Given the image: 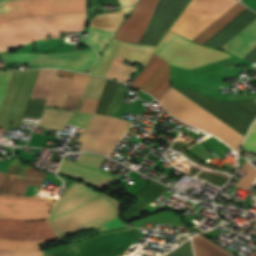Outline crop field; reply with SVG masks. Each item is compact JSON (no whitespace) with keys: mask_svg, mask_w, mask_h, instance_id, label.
Here are the masks:
<instances>
[{"mask_svg":"<svg viewBox=\"0 0 256 256\" xmlns=\"http://www.w3.org/2000/svg\"><path fill=\"white\" fill-rule=\"evenodd\" d=\"M169 69L170 64L153 53L147 66L129 85L145 90L160 100L171 87L169 84ZM175 89L244 136L256 117V102L254 100L224 102L203 96L194 90ZM175 89L171 87L159 101L168 112L195 127L221 138L236 151L244 136Z\"/></svg>","mask_w":256,"mask_h":256,"instance_id":"obj_1","label":"crop field"},{"mask_svg":"<svg viewBox=\"0 0 256 256\" xmlns=\"http://www.w3.org/2000/svg\"><path fill=\"white\" fill-rule=\"evenodd\" d=\"M3 175L0 173V182ZM44 175V172L36 171L33 167L29 168L25 178L5 174L0 195L22 196L27 185L39 186ZM9 196H0V250L40 251L38 245L59 240L48 220L26 223L47 219L54 199ZM7 251H0V254L15 253Z\"/></svg>","mask_w":256,"mask_h":256,"instance_id":"obj_2","label":"crop field"},{"mask_svg":"<svg viewBox=\"0 0 256 256\" xmlns=\"http://www.w3.org/2000/svg\"><path fill=\"white\" fill-rule=\"evenodd\" d=\"M86 0H17L7 2L12 12L0 14V25L33 17L65 16L85 13ZM85 14L65 17L33 18L0 26V52L26 45L43 37H59L60 31H82Z\"/></svg>","mask_w":256,"mask_h":256,"instance_id":"obj_3","label":"crop field"},{"mask_svg":"<svg viewBox=\"0 0 256 256\" xmlns=\"http://www.w3.org/2000/svg\"><path fill=\"white\" fill-rule=\"evenodd\" d=\"M155 47L135 45L123 42L116 57L127 58L146 65ZM172 65L191 69L197 66L231 57L215 49L200 46L168 31L155 52ZM160 57V58H161ZM115 58L106 76L124 82L135 70V67L122 65L123 59Z\"/></svg>","mask_w":256,"mask_h":256,"instance_id":"obj_4","label":"crop field"},{"mask_svg":"<svg viewBox=\"0 0 256 256\" xmlns=\"http://www.w3.org/2000/svg\"><path fill=\"white\" fill-rule=\"evenodd\" d=\"M99 194L80 185L77 183H73L65 193L59 197L57 200L51 214L50 218L59 217L61 215L71 213L89 201L97 197ZM119 207V203L114 199L101 194L90 203L82 207L81 209L71 213L64 215L59 218L49 220L51 225L53 226L56 233L63 231L67 228L80 224L84 221L92 219L96 216L109 212L113 209ZM120 208L113 210L109 213L96 217L92 220L84 222L80 225L67 229L63 232L58 233L59 237H66L75 232L97 229L107 222L111 221L115 217L119 216Z\"/></svg>","mask_w":256,"mask_h":256,"instance_id":"obj_5","label":"crop field"},{"mask_svg":"<svg viewBox=\"0 0 256 256\" xmlns=\"http://www.w3.org/2000/svg\"><path fill=\"white\" fill-rule=\"evenodd\" d=\"M158 0H138L131 16L119 27L114 38L138 43ZM190 0H159L149 25L138 44L157 46Z\"/></svg>","mask_w":256,"mask_h":256,"instance_id":"obj_6","label":"crop field"},{"mask_svg":"<svg viewBox=\"0 0 256 256\" xmlns=\"http://www.w3.org/2000/svg\"><path fill=\"white\" fill-rule=\"evenodd\" d=\"M237 0H192L171 31L193 40Z\"/></svg>","mask_w":256,"mask_h":256,"instance_id":"obj_7","label":"crop field"},{"mask_svg":"<svg viewBox=\"0 0 256 256\" xmlns=\"http://www.w3.org/2000/svg\"><path fill=\"white\" fill-rule=\"evenodd\" d=\"M132 122L94 114L77 141L82 142L79 150H89L108 155L125 134Z\"/></svg>","mask_w":256,"mask_h":256,"instance_id":"obj_8","label":"crop field"},{"mask_svg":"<svg viewBox=\"0 0 256 256\" xmlns=\"http://www.w3.org/2000/svg\"><path fill=\"white\" fill-rule=\"evenodd\" d=\"M139 230L124 227L106 231L84 245L69 247L49 256H117L141 238Z\"/></svg>","mask_w":256,"mask_h":256,"instance_id":"obj_9","label":"crop field"},{"mask_svg":"<svg viewBox=\"0 0 256 256\" xmlns=\"http://www.w3.org/2000/svg\"><path fill=\"white\" fill-rule=\"evenodd\" d=\"M242 5L238 2L229 11L222 15L216 22H214L209 28H207L198 37H196L194 41L201 44L206 42L210 37H212L221 28H223L232 19H234L237 15H239L243 10L246 9V7ZM255 19L256 14L252 13L247 8L203 45L221 48L225 43H227L230 39H232Z\"/></svg>","mask_w":256,"mask_h":256,"instance_id":"obj_10","label":"crop field"},{"mask_svg":"<svg viewBox=\"0 0 256 256\" xmlns=\"http://www.w3.org/2000/svg\"><path fill=\"white\" fill-rule=\"evenodd\" d=\"M5 63H28L41 67L66 68L86 72L96 60L92 50L40 55V54H9L2 56Z\"/></svg>","mask_w":256,"mask_h":256,"instance_id":"obj_11","label":"crop field"},{"mask_svg":"<svg viewBox=\"0 0 256 256\" xmlns=\"http://www.w3.org/2000/svg\"><path fill=\"white\" fill-rule=\"evenodd\" d=\"M102 159L96 154L81 153L76 163L63 160L57 173L85 181L102 192L118 180L115 175L98 169Z\"/></svg>","mask_w":256,"mask_h":256,"instance_id":"obj_12","label":"crop field"},{"mask_svg":"<svg viewBox=\"0 0 256 256\" xmlns=\"http://www.w3.org/2000/svg\"><path fill=\"white\" fill-rule=\"evenodd\" d=\"M57 70H40L30 96L47 98ZM71 79L55 77L45 105L63 106Z\"/></svg>","mask_w":256,"mask_h":256,"instance_id":"obj_13","label":"crop field"},{"mask_svg":"<svg viewBox=\"0 0 256 256\" xmlns=\"http://www.w3.org/2000/svg\"><path fill=\"white\" fill-rule=\"evenodd\" d=\"M104 78L75 73L67 95L91 100H99Z\"/></svg>","mask_w":256,"mask_h":256,"instance_id":"obj_14","label":"crop field"},{"mask_svg":"<svg viewBox=\"0 0 256 256\" xmlns=\"http://www.w3.org/2000/svg\"><path fill=\"white\" fill-rule=\"evenodd\" d=\"M256 46V20L234 37L223 48L228 52L243 57Z\"/></svg>","mask_w":256,"mask_h":256,"instance_id":"obj_15","label":"crop field"},{"mask_svg":"<svg viewBox=\"0 0 256 256\" xmlns=\"http://www.w3.org/2000/svg\"><path fill=\"white\" fill-rule=\"evenodd\" d=\"M113 35V32L89 27L88 41L95 52L98 54V57L108 45Z\"/></svg>","mask_w":256,"mask_h":256,"instance_id":"obj_16","label":"crop field"},{"mask_svg":"<svg viewBox=\"0 0 256 256\" xmlns=\"http://www.w3.org/2000/svg\"><path fill=\"white\" fill-rule=\"evenodd\" d=\"M117 84H118L117 82H114L108 79L106 80V83H105V86H104V89L95 113H99V114L104 113Z\"/></svg>","mask_w":256,"mask_h":256,"instance_id":"obj_17","label":"crop field"},{"mask_svg":"<svg viewBox=\"0 0 256 256\" xmlns=\"http://www.w3.org/2000/svg\"><path fill=\"white\" fill-rule=\"evenodd\" d=\"M241 170L247 172L245 176L236 182L235 186L247 190L248 187L256 182V169L249 163L245 162Z\"/></svg>","mask_w":256,"mask_h":256,"instance_id":"obj_18","label":"crop field"},{"mask_svg":"<svg viewBox=\"0 0 256 256\" xmlns=\"http://www.w3.org/2000/svg\"><path fill=\"white\" fill-rule=\"evenodd\" d=\"M128 89L129 87H126L120 83L118 84L104 114L112 116V114L114 113L115 109L119 105L120 101L122 100Z\"/></svg>","mask_w":256,"mask_h":256,"instance_id":"obj_19","label":"crop field"},{"mask_svg":"<svg viewBox=\"0 0 256 256\" xmlns=\"http://www.w3.org/2000/svg\"><path fill=\"white\" fill-rule=\"evenodd\" d=\"M45 101L46 100L44 99L31 97L24 116L39 118L42 113Z\"/></svg>","mask_w":256,"mask_h":256,"instance_id":"obj_20","label":"crop field"},{"mask_svg":"<svg viewBox=\"0 0 256 256\" xmlns=\"http://www.w3.org/2000/svg\"><path fill=\"white\" fill-rule=\"evenodd\" d=\"M92 116H93V114H91V113L76 111V113L74 114V116L71 119V121L69 122V124L84 128Z\"/></svg>","mask_w":256,"mask_h":256,"instance_id":"obj_21","label":"crop field"},{"mask_svg":"<svg viewBox=\"0 0 256 256\" xmlns=\"http://www.w3.org/2000/svg\"><path fill=\"white\" fill-rule=\"evenodd\" d=\"M13 72L0 71V107Z\"/></svg>","mask_w":256,"mask_h":256,"instance_id":"obj_22","label":"crop field"},{"mask_svg":"<svg viewBox=\"0 0 256 256\" xmlns=\"http://www.w3.org/2000/svg\"><path fill=\"white\" fill-rule=\"evenodd\" d=\"M28 167L24 166L17 158L9 164V167L6 171L7 174L24 176Z\"/></svg>","mask_w":256,"mask_h":256,"instance_id":"obj_23","label":"crop field"},{"mask_svg":"<svg viewBox=\"0 0 256 256\" xmlns=\"http://www.w3.org/2000/svg\"><path fill=\"white\" fill-rule=\"evenodd\" d=\"M243 146L248 151L256 152V124L253 125Z\"/></svg>","mask_w":256,"mask_h":256,"instance_id":"obj_24","label":"crop field"},{"mask_svg":"<svg viewBox=\"0 0 256 256\" xmlns=\"http://www.w3.org/2000/svg\"><path fill=\"white\" fill-rule=\"evenodd\" d=\"M121 44H122V41L116 40V42H115V44H114V46H113V48H112V50H111V52H110V54L107 58L105 64L103 65V67H102V69L99 73V75L105 76V74H106V72H107V70H108L116 52L118 51L119 47L121 46Z\"/></svg>","mask_w":256,"mask_h":256,"instance_id":"obj_25","label":"crop field"},{"mask_svg":"<svg viewBox=\"0 0 256 256\" xmlns=\"http://www.w3.org/2000/svg\"><path fill=\"white\" fill-rule=\"evenodd\" d=\"M115 40L112 39V41L110 42V44L108 45L107 49L104 51L102 57L98 60V62L96 63V65L92 68V70L90 71V73L92 74H96L98 75L110 49L112 48L113 44H114Z\"/></svg>","mask_w":256,"mask_h":256,"instance_id":"obj_26","label":"crop field"},{"mask_svg":"<svg viewBox=\"0 0 256 256\" xmlns=\"http://www.w3.org/2000/svg\"><path fill=\"white\" fill-rule=\"evenodd\" d=\"M247 99H256V94L229 96V98H228L227 101H233V100H247Z\"/></svg>","mask_w":256,"mask_h":256,"instance_id":"obj_27","label":"crop field"},{"mask_svg":"<svg viewBox=\"0 0 256 256\" xmlns=\"http://www.w3.org/2000/svg\"><path fill=\"white\" fill-rule=\"evenodd\" d=\"M121 225H125L124 223H122L119 220V217H117L116 219L112 220L111 222L107 223L104 227L100 228V230L103 229H108V228H113V227H119Z\"/></svg>","mask_w":256,"mask_h":256,"instance_id":"obj_28","label":"crop field"},{"mask_svg":"<svg viewBox=\"0 0 256 256\" xmlns=\"http://www.w3.org/2000/svg\"><path fill=\"white\" fill-rule=\"evenodd\" d=\"M15 256H43L42 252H16Z\"/></svg>","mask_w":256,"mask_h":256,"instance_id":"obj_29","label":"crop field"},{"mask_svg":"<svg viewBox=\"0 0 256 256\" xmlns=\"http://www.w3.org/2000/svg\"><path fill=\"white\" fill-rule=\"evenodd\" d=\"M12 1V0H0V13L10 11L4 2Z\"/></svg>","mask_w":256,"mask_h":256,"instance_id":"obj_30","label":"crop field"},{"mask_svg":"<svg viewBox=\"0 0 256 256\" xmlns=\"http://www.w3.org/2000/svg\"><path fill=\"white\" fill-rule=\"evenodd\" d=\"M73 74L74 73H72V72H66V71H61V70H58V73H57V75H59V76L69 77V78H72Z\"/></svg>","mask_w":256,"mask_h":256,"instance_id":"obj_31","label":"crop field"},{"mask_svg":"<svg viewBox=\"0 0 256 256\" xmlns=\"http://www.w3.org/2000/svg\"><path fill=\"white\" fill-rule=\"evenodd\" d=\"M246 3L248 6L256 10V0H241Z\"/></svg>","mask_w":256,"mask_h":256,"instance_id":"obj_32","label":"crop field"},{"mask_svg":"<svg viewBox=\"0 0 256 256\" xmlns=\"http://www.w3.org/2000/svg\"><path fill=\"white\" fill-rule=\"evenodd\" d=\"M217 251H219V252H221L222 254H224V255H226L224 252H222L220 249H216ZM226 256H228V255H226Z\"/></svg>","mask_w":256,"mask_h":256,"instance_id":"obj_33","label":"crop field"},{"mask_svg":"<svg viewBox=\"0 0 256 256\" xmlns=\"http://www.w3.org/2000/svg\"><path fill=\"white\" fill-rule=\"evenodd\" d=\"M255 123H256V121H255Z\"/></svg>","mask_w":256,"mask_h":256,"instance_id":"obj_34","label":"crop field"}]
</instances>
